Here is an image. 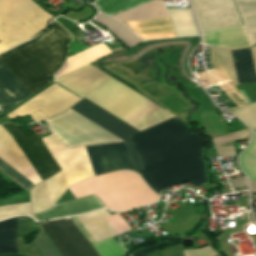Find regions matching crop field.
Wrapping results in <instances>:
<instances>
[{"label":"crop field","mask_w":256,"mask_h":256,"mask_svg":"<svg viewBox=\"0 0 256 256\" xmlns=\"http://www.w3.org/2000/svg\"><path fill=\"white\" fill-rule=\"evenodd\" d=\"M168 243H169V241L160 242V243L155 244V245H153L151 247L145 248V249H143V250H141V251H139V252H137V253H135V254H133L131 256H147L146 254L154 252L159 247H161V246H163L165 244H168Z\"/></svg>","instance_id":"crop-field-28"},{"label":"crop field","mask_w":256,"mask_h":256,"mask_svg":"<svg viewBox=\"0 0 256 256\" xmlns=\"http://www.w3.org/2000/svg\"><path fill=\"white\" fill-rule=\"evenodd\" d=\"M92 20L107 28L113 35H115L123 44L129 48L142 42L122 23H119L101 13H98V15Z\"/></svg>","instance_id":"crop-field-19"},{"label":"crop field","mask_w":256,"mask_h":256,"mask_svg":"<svg viewBox=\"0 0 256 256\" xmlns=\"http://www.w3.org/2000/svg\"><path fill=\"white\" fill-rule=\"evenodd\" d=\"M250 50H251V54H252V58H253L255 71H256V46L250 48Z\"/></svg>","instance_id":"crop-field-32"},{"label":"crop field","mask_w":256,"mask_h":256,"mask_svg":"<svg viewBox=\"0 0 256 256\" xmlns=\"http://www.w3.org/2000/svg\"><path fill=\"white\" fill-rule=\"evenodd\" d=\"M231 52L239 85L256 83V73L249 48L236 51L231 50Z\"/></svg>","instance_id":"crop-field-18"},{"label":"crop field","mask_w":256,"mask_h":256,"mask_svg":"<svg viewBox=\"0 0 256 256\" xmlns=\"http://www.w3.org/2000/svg\"><path fill=\"white\" fill-rule=\"evenodd\" d=\"M130 139L142 168L138 173L155 192L188 181L194 187L207 182L202 139L175 117Z\"/></svg>","instance_id":"crop-field-1"},{"label":"crop field","mask_w":256,"mask_h":256,"mask_svg":"<svg viewBox=\"0 0 256 256\" xmlns=\"http://www.w3.org/2000/svg\"><path fill=\"white\" fill-rule=\"evenodd\" d=\"M30 117L33 119L34 122L47 118V116H45L43 113H41L40 111L30 115Z\"/></svg>","instance_id":"crop-field-31"},{"label":"crop field","mask_w":256,"mask_h":256,"mask_svg":"<svg viewBox=\"0 0 256 256\" xmlns=\"http://www.w3.org/2000/svg\"><path fill=\"white\" fill-rule=\"evenodd\" d=\"M125 23L143 39L175 37L168 18Z\"/></svg>","instance_id":"crop-field-15"},{"label":"crop field","mask_w":256,"mask_h":256,"mask_svg":"<svg viewBox=\"0 0 256 256\" xmlns=\"http://www.w3.org/2000/svg\"><path fill=\"white\" fill-rule=\"evenodd\" d=\"M70 109L124 140L135 170H140L138 160L128 136L138 132L113 115L83 98ZM124 142L85 147L95 175L119 169H132L131 159Z\"/></svg>","instance_id":"crop-field-6"},{"label":"crop field","mask_w":256,"mask_h":256,"mask_svg":"<svg viewBox=\"0 0 256 256\" xmlns=\"http://www.w3.org/2000/svg\"><path fill=\"white\" fill-rule=\"evenodd\" d=\"M147 1L150 0H98L94 3V6L99 11L111 16Z\"/></svg>","instance_id":"crop-field-24"},{"label":"crop field","mask_w":256,"mask_h":256,"mask_svg":"<svg viewBox=\"0 0 256 256\" xmlns=\"http://www.w3.org/2000/svg\"><path fill=\"white\" fill-rule=\"evenodd\" d=\"M111 215L105 210H99L88 214L77 216L97 243L118 235L116 230L105 218ZM105 237V238H104Z\"/></svg>","instance_id":"crop-field-14"},{"label":"crop field","mask_w":256,"mask_h":256,"mask_svg":"<svg viewBox=\"0 0 256 256\" xmlns=\"http://www.w3.org/2000/svg\"><path fill=\"white\" fill-rule=\"evenodd\" d=\"M18 217L0 222V253L18 254L15 241Z\"/></svg>","instance_id":"crop-field-22"},{"label":"crop field","mask_w":256,"mask_h":256,"mask_svg":"<svg viewBox=\"0 0 256 256\" xmlns=\"http://www.w3.org/2000/svg\"><path fill=\"white\" fill-rule=\"evenodd\" d=\"M45 121L68 147L122 141L70 109ZM53 135L42 140L61 170L31 189L32 214L49 208L72 184L95 176L84 147L68 148Z\"/></svg>","instance_id":"crop-field-2"},{"label":"crop field","mask_w":256,"mask_h":256,"mask_svg":"<svg viewBox=\"0 0 256 256\" xmlns=\"http://www.w3.org/2000/svg\"><path fill=\"white\" fill-rule=\"evenodd\" d=\"M210 59L213 68L222 66L233 85H238L230 50L211 47Z\"/></svg>","instance_id":"crop-field-23"},{"label":"crop field","mask_w":256,"mask_h":256,"mask_svg":"<svg viewBox=\"0 0 256 256\" xmlns=\"http://www.w3.org/2000/svg\"><path fill=\"white\" fill-rule=\"evenodd\" d=\"M38 38L0 55V66L31 94L47 84L42 79L63 64L70 34L53 21ZM0 67V114L30 95Z\"/></svg>","instance_id":"crop-field-3"},{"label":"crop field","mask_w":256,"mask_h":256,"mask_svg":"<svg viewBox=\"0 0 256 256\" xmlns=\"http://www.w3.org/2000/svg\"><path fill=\"white\" fill-rule=\"evenodd\" d=\"M110 53L112 52L103 43H100L75 55H72L67 58L66 64L56 74L55 79L88 63L100 59Z\"/></svg>","instance_id":"crop-field-17"},{"label":"crop field","mask_w":256,"mask_h":256,"mask_svg":"<svg viewBox=\"0 0 256 256\" xmlns=\"http://www.w3.org/2000/svg\"><path fill=\"white\" fill-rule=\"evenodd\" d=\"M249 135H250L249 131L247 129H245V130L237 131V132H234V133H231L228 135L213 138L212 140H213L214 145L216 146V145L223 144V143H226L229 141H233V140H236V139H239L242 137H246Z\"/></svg>","instance_id":"crop-field-26"},{"label":"crop field","mask_w":256,"mask_h":256,"mask_svg":"<svg viewBox=\"0 0 256 256\" xmlns=\"http://www.w3.org/2000/svg\"><path fill=\"white\" fill-rule=\"evenodd\" d=\"M177 37L199 35L190 9H168Z\"/></svg>","instance_id":"crop-field-20"},{"label":"crop field","mask_w":256,"mask_h":256,"mask_svg":"<svg viewBox=\"0 0 256 256\" xmlns=\"http://www.w3.org/2000/svg\"><path fill=\"white\" fill-rule=\"evenodd\" d=\"M30 0H0V44L10 49L45 30L52 19ZM0 45V53L6 51Z\"/></svg>","instance_id":"crop-field-9"},{"label":"crop field","mask_w":256,"mask_h":256,"mask_svg":"<svg viewBox=\"0 0 256 256\" xmlns=\"http://www.w3.org/2000/svg\"><path fill=\"white\" fill-rule=\"evenodd\" d=\"M16 215H30L29 203L0 207V220Z\"/></svg>","instance_id":"crop-field-25"},{"label":"crop field","mask_w":256,"mask_h":256,"mask_svg":"<svg viewBox=\"0 0 256 256\" xmlns=\"http://www.w3.org/2000/svg\"><path fill=\"white\" fill-rule=\"evenodd\" d=\"M16 141L22 153L40 175L42 180L50 177L60 170L39 137H27L17 126L10 124L0 125ZM0 127V159L26 177L35 185L41 182V178L21 153L11 136ZM3 161L0 160V170L12 178L15 182L28 190L35 186Z\"/></svg>","instance_id":"crop-field-5"},{"label":"crop field","mask_w":256,"mask_h":256,"mask_svg":"<svg viewBox=\"0 0 256 256\" xmlns=\"http://www.w3.org/2000/svg\"><path fill=\"white\" fill-rule=\"evenodd\" d=\"M242 0H234V2ZM243 21L251 45L256 43V0L235 3Z\"/></svg>","instance_id":"crop-field-21"},{"label":"crop field","mask_w":256,"mask_h":256,"mask_svg":"<svg viewBox=\"0 0 256 256\" xmlns=\"http://www.w3.org/2000/svg\"><path fill=\"white\" fill-rule=\"evenodd\" d=\"M201 32L240 26L232 0H190Z\"/></svg>","instance_id":"crop-field-10"},{"label":"crop field","mask_w":256,"mask_h":256,"mask_svg":"<svg viewBox=\"0 0 256 256\" xmlns=\"http://www.w3.org/2000/svg\"><path fill=\"white\" fill-rule=\"evenodd\" d=\"M216 149L219 157L236 155L234 146L220 147Z\"/></svg>","instance_id":"crop-field-29"},{"label":"crop field","mask_w":256,"mask_h":256,"mask_svg":"<svg viewBox=\"0 0 256 256\" xmlns=\"http://www.w3.org/2000/svg\"><path fill=\"white\" fill-rule=\"evenodd\" d=\"M229 182H230L232 188L247 185V182H246V178H245V177L236 178V179H230Z\"/></svg>","instance_id":"crop-field-30"},{"label":"crop field","mask_w":256,"mask_h":256,"mask_svg":"<svg viewBox=\"0 0 256 256\" xmlns=\"http://www.w3.org/2000/svg\"><path fill=\"white\" fill-rule=\"evenodd\" d=\"M185 256H214L216 253L208 246L201 249L183 251Z\"/></svg>","instance_id":"crop-field-27"},{"label":"crop field","mask_w":256,"mask_h":256,"mask_svg":"<svg viewBox=\"0 0 256 256\" xmlns=\"http://www.w3.org/2000/svg\"><path fill=\"white\" fill-rule=\"evenodd\" d=\"M106 208L95 195L83 197L78 200L54 204L41 214L32 215L36 221H43L57 217L78 215L87 211ZM107 209V208H106Z\"/></svg>","instance_id":"crop-field-13"},{"label":"crop field","mask_w":256,"mask_h":256,"mask_svg":"<svg viewBox=\"0 0 256 256\" xmlns=\"http://www.w3.org/2000/svg\"><path fill=\"white\" fill-rule=\"evenodd\" d=\"M232 113L246 123L251 130H256V103L240 107ZM240 166L246 173L249 181L256 180V131L253 132V140L243 151L239 158Z\"/></svg>","instance_id":"crop-field-12"},{"label":"crop field","mask_w":256,"mask_h":256,"mask_svg":"<svg viewBox=\"0 0 256 256\" xmlns=\"http://www.w3.org/2000/svg\"><path fill=\"white\" fill-rule=\"evenodd\" d=\"M250 184V188L252 192H256V182H251Z\"/></svg>","instance_id":"crop-field-33"},{"label":"crop field","mask_w":256,"mask_h":256,"mask_svg":"<svg viewBox=\"0 0 256 256\" xmlns=\"http://www.w3.org/2000/svg\"><path fill=\"white\" fill-rule=\"evenodd\" d=\"M75 198L96 194L111 211H127L155 203L156 195L139 174L121 170L81 181L69 188Z\"/></svg>","instance_id":"crop-field-7"},{"label":"crop field","mask_w":256,"mask_h":256,"mask_svg":"<svg viewBox=\"0 0 256 256\" xmlns=\"http://www.w3.org/2000/svg\"><path fill=\"white\" fill-rule=\"evenodd\" d=\"M79 99L57 84H52L44 91L7 115L10 119L26 116L39 109L48 117L69 108Z\"/></svg>","instance_id":"crop-field-11"},{"label":"crop field","mask_w":256,"mask_h":256,"mask_svg":"<svg viewBox=\"0 0 256 256\" xmlns=\"http://www.w3.org/2000/svg\"><path fill=\"white\" fill-rule=\"evenodd\" d=\"M42 228L35 240L26 245L17 239L19 254L29 256H98L71 219L39 224Z\"/></svg>","instance_id":"crop-field-8"},{"label":"crop field","mask_w":256,"mask_h":256,"mask_svg":"<svg viewBox=\"0 0 256 256\" xmlns=\"http://www.w3.org/2000/svg\"><path fill=\"white\" fill-rule=\"evenodd\" d=\"M56 81L139 131L173 117L90 64Z\"/></svg>","instance_id":"crop-field-4"},{"label":"crop field","mask_w":256,"mask_h":256,"mask_svg":"<svg viewBox=\"0 0 256 256\" xmlns=\"http://www.w3.org/2000/svg\"><path fill=\"white\" fill-rule=\"evenodd\" d=\"M120 21L169 17L164 0H153L111 16Z\"/></svg>","instance_id":"crop-field-16"}]
</instances>
